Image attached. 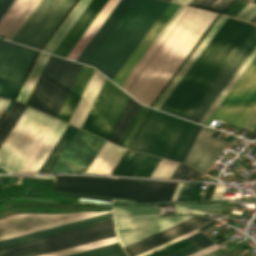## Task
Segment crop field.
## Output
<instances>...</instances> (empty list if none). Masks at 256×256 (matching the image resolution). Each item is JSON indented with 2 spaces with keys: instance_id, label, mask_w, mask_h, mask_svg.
<instances>
[{
  "instance_id": "1",
  "label": "crop field",
  "mask_w": 256,
  "mask_h": 256,
  "mask_svg": "<svg viewBox=\"0 0 256 256\" xmlns=\"http://www.w3.org/2000/svg\"><path fill=\"white\" fill-rule=\"evenodd\" d=\"M216 16L184 6L123 90L149 106Z\"/></svg>"
},
{
  "instance_id": "2",
  "label": "crop field",
  "mask_w": 256,
  "mask_h": 256,
  "mask_svg": "<svg viewBox=\"0 0 256 256\" xmlns=\"http://www.w3.org/2000/svg\"><path fill=\"white\" fill-rule=\"evenodd\" d=\"M253 29L227 18L160 110L187 119Z\"/></svg>"
},
{
  "instance_id": "3",
  "label": "crop field",
  "mask_w": 256,
  "mask_h": 256,
  "mask_svg": "<svg viewBox=\"0 0 256 256\" xmlns=\"http://www.w3.org/2000/svg\"><path fill=\"white\" fill-rule=\"evenodd\" d=\"M168 4L161 0H136L89 65L112 80Z\"/></svg>"
},
{
  "instance_id": "4",
  "label": "crop field",
  "mask_w": 256,
  "mask_h": 256,
  "mask_svg": "<svg viewBox=\"0 0 256 256\" xmlns=\"http://www.w3.org/2000/svg\"><path fill=\"white\" fill-rule=\"evenodd\" d=\"M177 183L134 180L56 176L54 189L72 193L132 198L140 202L170 200Z\"/></svg>"
},
{
  "instance_id": "5",
  "label": "crop field",
  "mask_w": 256,
  "mask_h": 256,
  "mask_svg": "<svg viewBox=\"0 0 256 256\" xmlns=\"http://www.w3.org/2000/svg\"><path fill=\"white\" fill-rule=\"evenodd\" d=\"M194 126L150 109L131 149L177 161Z\"/></svg>"
},
{
  "instance_id": "6",
  "label": "crop field",
  "mask_w": 256,
  "mask_h": 256,
  "mask_svg": "<svg viewBox=\"0 0 256 256\" xmlns=\"http://www.w3.org/2000/svg\"><path fill=\"white\" fill-rule=\"evenodd\" d=\"M81 67L50 55L26 105L56 117Z\"/></svg>"
},
{
  "instance_id": "7",
  "label": "crop field",
  "mask_w": 256,
  "mask_h": 256,
  "mask_svg": "<svg viewBox=\"0 0 256 256\" xmlns=\"http://www.w3.org/2000/svg\"><path fill=\"white\" fill-rule=\"evenodd\" d=\"M54 118L33 110H25L0 147V167L20 172Z\"/></svg>"
},
{
  "instance_id": "8",
  "label": "crop field",
  "mask_w": 256,
  "mask_h": 256,
  "mask_svg": "<svg viewBox=\"0 0 256 256\" xmlns=\"http://www.w3.org/2000/svg\"><path fill=\"white\" fill-rule=\"evenodd\" d=\"M114 236L111 219L0 248V256H39Z\"/></svg>"
},
{
  "instance_id": "9",
  "label": "crop field",
  "mask_w": 256,
  "mask_h": 256,
  "mask_svg": "<svg viewBox=\"0 0 256 256\" xmlns=\"http://www.w3.org/2000/svg\"><path fill=\"white\" fill-rule=\"evenodd\" d=\"M75 0H40L11 41L39 49Z\"/></svg>"
},
{
  "instance_id": "10",
  "label": "crop field",
  "mask_w": 256,
  "mask_h": 256,
  "mask_svg": "<svg viewBox=\"0 0 256 256\" xmlns=\"http://www.w3.org/2000/svg\"><path fill=\"white\" fill-rule=\"evenodd\" d=\"M129 97L106 79L82 129L108 140Z\"/></svg>"
},
{
  "instance_id": "11",
  "label": "crop field",
  "mask_w": 256,
  "mask_h": 256,
  "mask_svg": "<svg viewBox=\"0 0 256 256\" xmlns=\"http://www.w3.org/2000/svg\"><path fill=\"white\" fill-rule=\"evenodd\" d=\"M256 103V57L206 122L220 119L239 126Z\"/></svg>"
},
{
  "instance_id": "12",
  "label": "crop field",
  "mask_w": 256,
  "mask_h": 256,
  "mask_svg": "<svg viewBox=\"0 0 256 256\" xmlns=\"http://www.w3.org/2000/svg\"><path fill=\"white\" fill-rule=\"evenodd\" d=\"M36 52L0 40V97L14 98Z\"/></svg>"
},
{
  "instance_id": "13",
  "label": "crop field",
  "mask_w": 256,
  "mask_h": 256,
  "mask_svg": "<svg viewBox=\"0 0 256 256\" xmlns=\"http://www.w3.org/2000/svg\"><path fill=\"white\" fill-rule=\"evenodd\" d=\"M104 143L105 140L78 129L51 172L85 173Z\"/></svg>"
},
{
  "instance_id": "14",
  "label": "crop field",
  "mask_w": 256,
  "mask_h": 256,
  "mask_svg": "<svg viewBox=\"0 0 256 256\" xmlns=\"http://www.w3.org/2000/svg\"><path fill=\"white\" fill-rule=\"evenodd\" d=\"M192 217L179 216H147L116 218V235L122 247Z\"/></svg>"
},
{
  "instance_id": "15",
  "label": "crop field",
  "mask_w": 256,
  "mask_h": 256,
  "mask_svg": "<svg viewBox=\"0 0 256 256\" xmlns=\"http://www.w3.org/2000/svg\"><path fill=\"white\" fill-rule=\"evenodd\" d=\"M255 46L256 27L234 55L223 72L220 74V76L217 78V80L214 82V84L211 86L197 107L194 109V111L191 113V115L188 117V120L199 123V121L229 83L231 78L234 76V74L237 72V70L240 68V66L243 64Z\"/></svg>"
},
{
  "instance_id": "16",
  "label": "crop field",
  "mask_w": 256,
  "mask_h": 256,
  "mask_svg": "<svg viewBox=\"0 0 256 256\" xmlns=\"http://www.w3.org/2000/svg\"><path fill=\"white\" fill-rule=\"evenodd\" d=\"M213 129L202 127L185 163L206 172L228 143L209 137ZM237 138L230 142L233 144Z\"/></svg>"
},
{
  "instance_id": "17",
  "label": "crop field",
  "mask_w": 256,
  "mask_h": 256,
  "mask_svg": "<svg viewBox=\"0 0 256 256\" xmlns=\"http://www.w3.org/2000/svg\"><path fill=\"white\" fill-rule=\"evenodd\" d=\"M211 220L212 219L210 218L194 216L188 220H185L140 241L130 244L124 247V250L128 256H135L187 232H190Z\"/></svg>"
},
{
  "instance_id": "18",
  "label": "crop field",
  "mask_w": 256,
  "mask_h": 256,
  "mask_svg": "<svg viewBox=\"0 0 256 256\" xmlns=\"http://www.w3.org/2000/svg\"><path fill=\"white\" fill-rule=\"evenodd\" d=\"M92 213V212H88ZM88 213H67V214H17L0 220V236L26 230L29 228L61 221L64 219L88 214Z\"/></svg>"
},
{
  "instance_id": "19",
  "label": "crop field",
  "mask_w": 256,
  "mask_h": 256,
  "mask_svg": "<svg viewBox=\"0 0 256 256\" xmlns=\"http://www.w3.org/2000/svg\"><path fill=\"white\" fill-rule=\"evenodd\" d=\"M135 0H120L80 55L77 57L76 61L88 64L109 34L112 32L114 27L132 5Z\"/></svg>"
},
{
  "instance_id": "20",
  "label": "crop field",
  "mask_w": 256,
  "mask_h": 256,
  "mask_svg": "<svg viewBox=\"0 0 256 256\" xmlns=\"http://www.w3.org/2000/svg\"><path fill=\"white\" fill-rule=\"evenodd\" d=\"M107 1L108 0H92L53 51V54L66 57Z\"/></svg>"
},
{
  "instance_id": "21",
  "label": "crop field",
  "mask_w": 256,
  "mask_h": 256,
  "mask_svg": "<svg viewBox=\"0 0 256 256\" xmlns=\"http://www.w3.org/2000/svg\"><path fill=\"white\" fill-rule=\"evenodd\" d=\"M178 7V4L170 3L166 10L164 9L165 11L163 14L161 13L162 15L160 18L158 17L159 19L157 22L155 21L156 23L154 26L152 25L153 27L151 30L149 29L150 31L148 34L146 33L147 35L145 38L143 37L144 39L142 42L138 45V47L135 49V51L132 53V55L129 57V59L126 61V63L123 65V67L112 81L120 86V84L123 82V80L126 78V76L129 74V72L132 70V68L135 66V64L138 62V60L141 58V56L144 54L149 45L152 43V41L155 39V37L158 35V33L161 31V29L164 27V25L167 23V21Z\"/></svg>"
},
{
  "instance_id": "22",
  "label": "crop field",
  "mask_w": 256,
  "mask_h": 256,
  "mask_svg": "<svg viewBox=\"0 0 256 256\" xmlns=\"http://www.w3.org/2000/svg\"><path fill=\"white\" fill-rule=\"evenodd\" d=\"M39 0H15L0 20V37L10 40Z\"/></svg>"
},
{
  "instance_id": "23",
  "label": "crop field",
  "mask_w": 256,
  "mask_h": 256,
  "mask_svg": "<svg viewBox=\"0 0 256 256\" xmlns=\"http://www.w3.org/2000/svg\"><path fill=\"white\" fill-rule=\"evenodd\" d=\"M103 77L99 72L95 70L88 86L86 87L78 105L76 106L69 123L81 128L92 104L94 103L104 81Z\"/></svg>"
},
{
  "instance_id": "24",
  "label": "crop field",
  "mask_w": 256,
  "mask_h": 256,
  "mask_svg": "<svg viewBox=\"0 0 256 256\" xmlns=\"http://www.w3.org/2000/svg\"><path fill=\"white\" fill-rule=\"evenodd\" d=\"M95 69L83 65L76 81L74 82L66 100L64 101L57 118L68 122L75 106L77 105L85 87L87 86Z\"/></svg>"
},
{
  "instance_id": "25",
  "label": "crop field",
  "mask_w": 256,
  "mask_h": 256,
  "mask_svg": "<svg viewBox=\"0 0 256 256\" xmlns=\"http://www.w3.org/2000/svg\"><path fill=\"white\" fill-rule=\"evenodd\" d=\"M125 151L106 141L86 173L111 174Z\"/></svg>"
},
{
  "instance_id": "26",
  "label": "crop field",
  "mask_w": 256,
  "mask_h": 256,
  "mask_svg": "<svg viewBox=\"0 0 256 256\" xmlns=\"http://www.w3.org/2000/svg\"><path fill=\"white\" fill-rule=\"evenodd\" d=\"M225 19L226 17L220 15V17L217 19V21L214 23V25L211 27V29L208 31V33L205 35L202 41L199 43L197 48L194 50V52L191 54V56L188 58V60L185 62V64L182 66L179 72L176 74L174 79L171 81V83L168 85V87L165 89V91L153 105V108L159 109V107L162 105V103L165 101V99L168 97V95L171 93V91L174 89V87L177 85V83L180 81V79L183 77V75L186 73V71L189 69L192 63L195 61V59L207 45V43L210 41V39L213 37V35L225 21Z\"/></svg>"
},
{
  "instance_id": "27",
  "label": "crop field",
  "mask_w": 256,
  "mask_h": 256,
  "mask_svg": "<svg viewBox=\"0 0 256 256\" xmlns=\"http://www.w3.org/2000/svg\"><path fill=\"white\" fill-rule=\"evenodd\" d=\"M111 218H112V212L107 213V214H103V215H99V216H95V217H91V218H88V219L68 223V224H65V225L45 229V230H42V231L26 234V235H23V236L3 240V241H0V247L7 246V245H10V244H14V243H18V242H22V241H26V240H30V239L45 236V235H49V234H53V233H57V232H60V231H64V230L84 226V225H87V224H91V223L111 219Z\"/></svg>"
},
{
  "instance_id": "28",
  "label": "crop field",
  "mask_w": 256,
  "mask_h": 256,
  "mask_svg": "<svg viewBox=\"0 0 256 256\" xmlns=\"http://www.w3.org/2000/svg\"><path fill=\"white\" fill-rule=\"evenodd\" d=\"M118 1L119 0H109L107 2V4L104 6V8L98 14V16L92 22V24L89 26V28L86 30V32L83 34V36L80 38V40L77 42V44L71 50V52L68 54L67 58H70L73 60L76 59V57L79 55V53L85 47V45L88 43V41L94 35V33L97 31V29L103 23V21L106 19V17L109 15V13L112 11V9L115 7V5L118 3Z\"/></svg>"
},
{
  "instance_id": "29",
  "label": "crop field",
  "mask_w": 256,
  "mask_h": 256,
  "mask_svg": "<svg viewBox=\"0 0 256 256\" xmlns=\"http://www.w3.org/2000/svg\"><path fill=\"white\" fill-rule=\"evenodd\" d=\"M90 1L91 0L78 1V3L67 16V18L64 20V22L61 24V26L58 28V30L55 32V34L52 36L46 46L43 48V51L52 53V51L55 49V47L58 45V43L61 41V39L64 37V35L67 33V31L70 29V27L73 25V23L76 21V19L79 17V15L82 13V11L85 9Z\"/></svg>"
},
{
  "instance_id": "30",
  "label": "crop field",
  "mask_w": 256,
  "mask_h": 256,
  "mask_svg": "<svg viewBox=\"0 0 256 256\" xmlns=\"http://www.w3.org/2000/svg\"><path fill=\"white\" fill-rule=\"evenodd\" d=\"M139 103H137L134 99L130 97L120 119L118 120L110 138L109 141L119 145L124 133L126 132L132 118L134 117L138 107Z\"/></svg>"
},
{
  "instance_id": "31",
  "label": "crop field",
  "mask_w": 256,
  "mask_h": 256,
  "mask_svg": "<svg viewBox=\"0 0 256 256\" xmlns=\"http://www.w3.org/2000/svg\"><path fill=\"white\" fill-rule=\"evenodd\" d=\"M48 57H49V54L40 52L31 72H30L29 76L27 77L16 100L25 104V102H26L36 80L38 79Z\"/></svg>"
},
{
  "instance_id": "32",
  "label": "crop field",
  "mask_w": 256,
  "mask_h": 256,
  "mask_svg": "<svg viewBox=\"0 0 256 256\" xmlns=\"http://www.w3.org/2000/svg\"><path fill=\"white\" fill-rule=\"evenodd\" d=\"M66 127L67 124L59 121L52 134L50 135V137L36 156L35 160L27 170V172H37V170L39 169V167L41 166V164L43 163V161L45 160V158L47 157V155L49 154V152L51 151Z\"/></svg>"
},
{
  "instance_id": "33",
  "label": "crop field",
  "mask_w": 256,
  "mask_h": 256,
  "mask_svg": "<svg viewBox=\"0 0 256 256\" xmlns=\"http://www.w3.org/2000/svg\"><path fill=\"white\" fill-rule=\"evenodd\" d=\"M26 106L14 101L8 112L6 113L5 117L0 123V146L10 133L24 110Z\"/></svg>"
},
{
  "instance_id": "34",
  "label": "crop field",
  "mask_w": 256,
  "mask_h": 256,
  "mask_svg": "<svg viewBox=\"0 0 256 256\" xmlns=\"http://www.w3.org/2000/svg\"><path fill=\"white\" fill-rule=\"evenodd\" d=\"M147 155L129 151L123 162L120 164L114 175L135 176Z\"/></svg>"
},
{
  "instance_id": "35",
  "label": "crop field",
  "mask_w": 256,
  "mask_h": 256,
  "mask_svg": "<svg viewBox=\"0 0 256 256\" xmlns=\"http://www.w3.org/2000/svg\"><path fill=\"white\" fill-rule=\"evenodd\" d=\"M175 211L177 213H198V214H212L219 215L221 214L220 204H210V205H191V204H176L174 205Z\"/></svg>"
},
{
  "instance_id": "36",
  "label": "crop field",
  "mask_w": 256,
  "mask_h": 256,
  "mask_svg": "<svg viewBox=\"0 0 256 256\" xmlns=\"http://www.w3.org/2000/svg\"><path fill=\"white\" fill-rule=\"evenodd\" d=\"M159 214L157 206H132L114 208V217Z\"/></svg>"
},
{
  "instance_id": "37",
  "label": "crop field",
  "mask_w": 256,
  "mask_h": 256,
  "mask_svg": "<svg viewBox=\"0 0 256 256\" xmlns=\"http://www.w3.org/2000/svg\"><path fill=\"white\" fill-rule=\"evenodd\" d=\"M256 55V48L253 50V52L250 54V56L247 58V60L244 62V64L241 66V68L238 70V72L235 74L233 79L230 81V83L227 85V87L224 89V91L221 93V95L218 97V99L215 101V103L212 105V107L209 109V111L206 113V115L203 117V119L200 121V124L202 122H206V120L209 118V116L212 114V112L215 110V108L218 106V104L221 102V100L224 98V96L227 94V92L230 90V88L233 86V84L236 82V80L240 77V75L243 73V71L246 69V67L249 65V63L252 61V59Z\"/></svg>"
},
{
  "instance_id": "38",
  "label": "crop field",
  "mask_w": 256,
  "mask_h": 256,
  "mask_svg": "<svg viewBox=\"0 0 256 256\" xmlns=\"http://www.w3.org/2000/svg\"><path fill=\"white\" fill-rule=\"evenodd\" d=\"M234 0H192L188 5L221 13Z\"/></svg>"
},
{
  "instance_id": "39",
  "label": "crop field",
  "mask_w": 256,
  "mask_h": 256,
  "mask_svg": "<svg viewBox=\"0 0 256 256\" xmlns=\"http://www.w3.org/2000/svg\"><path fill=\"white\" fill-rule=\"evenodd\" d=\"M117 242L118 241H117L116 237H114V238L78 246L75 248H71V249H67V250H63V251H59V252H55V253H51V254H47V255H43V256H67V255H71L74 253L94 249L97 247H101V246H105V245H109V244H113V243H117Z\"/></svg>"
},
{
  "instance_id": "40",
  "label": "crop field",
  "mask_w": 256,
  "mask_h": 256,
  "mask_svg": "<svg viewBox=\"0 0 256 256\" xmlns=\"http://www.w3.org/2000/svg\"><path fill=\"white\" fill-rule=\"evenodd\" d=\"M71 256H126L123 249L117 244L97 248L94 250L74 254Z\"/></svg>"
},
{
  "instance_id": "41",
  "label": "crop field",
  "mask_w": 256,
  "mask_h": 256,
  "mask_svg": "<svg viewBox=\"0 0 256 256\" xmlns=\"http://www.w3.org/2000/svg\"><path fill=\"white\" fill-rule=\"evenodd\" d=\"M148 108L140 105L135 117L133 118L127 132L125 133L121 143H120V146L124 147V148H128L137 128L139 127L146 111H147Z\"/></svg>"
},
{
  "instance_id": "42",
  "label": "crop field",
  "mask_w": 256,
  "mask_h": 256,
  "mask_svg": "<svg viewBox=\"0 0 256 256\" xmlns=\"http://www.w3.org/2000/svg\"><path fill=\"white\" fill-rule=\"evenodd\" d=\"M183 8L182 5L177 9V11L174 13V15L171 17V19L168 21V23L165 25V27L162 29V31L159 33V35L156 37V39L153 41L151 46L148 48V50L145 52V54L142 56V58L139 60V62L136 64V66L133 68V70L130 72V74L127 76V78L124 80V82L121 84V88L126 85V83L129 81V79L132 77V75L135 73L137 68L140 66V64L143 62V60L146 58V56L149 54V52L152 50L154 45L157 43V41L160 39V37L163 35V33L166 31L168 26L171 24V22L174 20V18L177 16V14L180 12V10Z\"/></svg>"
},
{
  "instance_id": "43",
  "label": "crop field",
  "mask_w": 256,
  "mask_h": 256,
  "mask_svg": "<svg viewBox=\"0 0 256 256\" xmlns=\"http://www.w3.org/2000/svg\"><path fill=\"white\" fill-rule=\"evenodd\" d=\"M107 212H111V211L96 212V213H92V214H88V215H84V216H80V217L64 220V221H61V222H57V223H53V224H49V225H45V226L29 229V230H26V231H22V232L10 234V235L2 236V237H0V240L11 238V237H15V236H19V235H23V234H26V233L42 230V229H45V228H49V227H53V226H57V225H61V224H65V223H68V222H72V221L88 218V217H91V216H95V215H99V214H103V213H107Z\"/></svg>"
},
{
  "instance_id": "44",
  "label": "crop field",
  "mask_w": 256,
  "mask_h": 256,
  "mask_svg": "<svg viewBox=\"0 0 256 256\" xmlns=\"http://www.w3.org/2000/svg\"><path fill=\"white\" fill-rule=\"evenodd\" d=\"M177 162L162 159L158 167L155 169L151 177H165L170 178L171 174L175 170Z\"/></svg>"
},
{
  "instance_id": "45",
  "label": "crop field",
  "mask_w": 256,
  "mask_h": 256,
  "mask_svg": "<svg viewBox=\"0 0 256 256\" xmlns=\"http://www.w3.org/2000/svg\"><path fill=\"white\" fill-rule=\"evenodd\" d=\"M76 131H77V128L72 126V128L70 129V131L68 132V134L66 135V137L64 138L60 146L58 147L57 151L55 152V154L53 155V157L51 158V160L49 161V163L47 164L43 172H50V170L52 169V167L54 166V164L56 163V161L58 160V158L60 157L63 150L65 149V147L67 146V144L69 143V141L71 140V138L73 137Z\"/></svg>"
},
{
  "instance_id": "46",
  "label": "crop field",
  "mask_w": 256,
  "mask_h": 256,
  "mask_svg": "<svg viewBox=\"0 0 256 256\" xmlns=\"http://www.w3.org/2000/svg\"><path fill=\"white\" fill-rule=\"evenodd\" d=\"M161 161L160 158H155L148 156L136 176H141V177H150L154 169L157 167L159 162Z\"/></svg>"
},
{
  "instance_id": "47",
  "label": "crop field",
  "mask_w": 256,
  "mask_h": 256,
  "mask_svg": "<svg viewBox=\"0 0 256 256\" xmlns=\"http://www.w3.org/2000/svg\"><path fill=\"white\" fill-rule=\"evenodd\" d=\"M214 244L211 240H209L208 238L193 245V246H189V247H186L178 252H175L169 256H187L189 254H192L198 250H201L205 247H208L210 245Z\"/></svg>"
},
{
  "instance_id": "48",
  "label": "crop field",
  "mask_w": 256,
  "mask_h": 256,
  "mask_svg": "<svg viewBox=\"0 0 256 256\" xmlns=\"http://www.w3.org/2000/svg\"><path fill=\"white\" fill-rule=\"evenodd\" d=\"M197 174H198V171H196L184 164L179 163L178 167L174 171L171 178H176L177 175H181L180 179L190 180L191 177L195 178Z\"/></svg>"
},
{
  "instance_id": "49",
  "label": "crop field",
  "mask_w": 256,
  "mask_h": 256,
  "mask_svg": "<svg viewBox=\"0 0 256 256\" xmlns=\"http://www.w3.org/2000/svg\"><path fill=\"white\" fill-rule=\"evenodd\" d=\"M57 123H58V120L55 119V121L53 122V124L51 125V127L49 128V130L47 131V133L45 134V136L43 137V139L41 140V142L39 143V145L33 152V154L31 155V157L29 158V160L27 161V163L21 170V172H26V170L32 163L33 159L35 158V156L37 155V153L39 152V150L41 149V147L43 146V144L45 143V141L47 140V138L49 137L50 133L52 132V130L54 129V127L56 126Z\"/></svg>"
},
{
  "instance_id": "50",
  "label": "crop field",
  "mask_w": 256,
  "mask_h": 256,
  "mask_svg": "<svg viewBox=\"0 0 256 256\" xmlns=\"http://www.w3.org/2000/svg\"><path fill=\"white\" fill-rule=\"evenodd\" d=\"M240 127L254 131L256 128V105L241 123Z\"/></svg>"
},
{
  "instance_id": "51",
  "label": "crop field",
  "mask_w": 256,
  "mask_h": 256,
  "mask_svg": "<svg viewBox=\"0 0 256 256\" xmlns=\"http://www.w3.org/2000/svg\"><path fill=\"white\" fill-rule=\"evenodd\" d=\"M248 3L247 0H237L223 14L235 17Z\"/></svg>"
},
{
  "instance_id": "52",
  "label": "crop field",
  "mask_w": 256,
  "mask_h": 256,
  "mask_svg": "<svg viewBox=\"0 0 256 256\" xmlns=\"http://www.w3.org/2000/svg\"><path fill=\"white\" fill-rule=\"evenodd\" d=\"M200 128H201V126L196 125V127H195V129H194V131H193V133H192V135H191V137H190V139H189V141H188V143H187V145H186V147H185V149H184V151H183V153H182V155L179 159L180 162H184V160H185V158H186V156H187V154H188V152H189V150H190V148H191V146H192Z\"/></svg>"
},
{
  "instance_id": "53",
  "label": "crop field",
  "mask_w": 256,
  "mask_h": 256,
  "mask_svg": "<svg viewBox=\"0 0 256 256\" xmlns=\"http://www.w3.org/2000/svg\"><path fill=\"white\" fill-rule=\"evenodd\" d=\"M195 183H184L177 200H188Z\"/></svg>"
},
{
  "instance_id": "54",
  "label": "crop field",
  "mask_w": 256,
  "mask_h": 256,
  "mask_svg": "<svg viewBox=\"0 0 256 256\" xmlns=\"http://www.w3.org/2000/svg\"><path fill=\"white\" fill-rule=\"evenodd\" d=\"M197 232H199V231L195 230V231H193V232H191V233H188V234H186V235H184V236H181V237H179V238H177V239H175V240H172V241H170V242H168V243H165V244H163V245H161V246H158V247H156V248H154V249H151V250H149V251H147V252H145V253H142V254H140V255H138V256H144V255H146V254H149V253H151V252H153V251H156V250H158V249H160V248H163V247H165V246H167V245H169V244H172V243H174V242H176V241H179V240H181V239H183V238H186V237H188V236H190V235H192V234H195V233H197Z\"/></svg>"
},
{
  "instance_id": "55",
  "label": "crop field",
  "mask_w": 256,
  "mask_h": 256,
  "mask_svg": "<svg viewBox=\"0 0 256 256\" xmlns=\"http://www.w3.org/2000/svg\"><path fill=\"white\" fill-rule=\"evenodd\" d=\"M70 128H71V126L68 125V127L66 128V130L64 131V133L62 134V136L60 137V139L58 140V142L56 143V145L54 146V148L52 149V151L50 152V154L48 155V157L46 158V160L44 161V163L42 164V166L38 170V172H42L43 168L47 164V162L50 159V157L52 156L53 152L55 151L57 146L60 144V142L62 141V139L64 138V136L66 135V133L69 131Z\"/></svg>"
},
{
  "instance_id": "56",
  "label": "crop field",
  "mask_w": 256,
  "mask_h": 256,
  "mask_svg": "<svg viewBox=\"0 0 256 256\" xmlns=\"http://www.w3.org/2000/svg\"><path fill=\"white\" fill-rule=\"evenodd\" d=\"M14 0H0V19L11 6Z\"/></svg>"
},
{
  "instance_id": "57",
  "label": "crop field",
  "mask_w": 256,
  "mask_h": 256,
  "mask_svg": "<svg viewBox=\"0 0 256 256\" xmlns=\"http://www.w3.org/2000/svg\"><path fill=\"white\" fill-rule=\"evenodd\" d=\"M204 238H206V236L203 235L201 232H199V233H197V234H195V235H192V236L186 238V240H187L190 244H193V243L198 242V241H200V240H202V239H204Z\"/></svg>"
},
{
  "instance_id": "58",
  "label": "crop field",
  "mask_w": 256,
  "mask_h": 256,
  "mask_svg": "<svg viewBox=\"0 0 256 256\" xmlns=\"http://www.w3.org/2000/svg\"><path fill=\"white\" fill-rule=\"evenodd\" d=\"M10 101H11V100L0 98V116L2 115V113L4 112V110L6 109V107H7L8 104L10 103Z\"/></svg>"
},
{
  "instance_id": "59",
  "label": "crop field",
  "mask_w": 256,
  "mask_h": 256,
  "mask_svg": "<svg viewBox=\"0 0 256 256\" xmlns=\"http://www.w3.org/2000/svg\"><path fill=\"white\" fill-rule=\"evenodd\" d=\"M80 203H86V204H110L108 202L88 200V199H83V198H80Z\"/></svg>"
},
{
  "instance_id": "60",
  "label": "crop field",
  "mask_w": 256,
  "mask_h": 256,
  "mask_svg": "<svg viewBox=\"0 0 256 256\" xmlns=\"http://www.w3.org/2000/svg\"><path fill=\"white\" fill-rule=\"evenodd\" d=\"M205 256H229V255L227 253H225L223 250L219 249V250L212 252Z\"/></svg>"
},
{
  "instance_id": "61",
  "label": "crop field",
  "mask_w": 256,
  "mask_h": 256,
  "mask_svg": "<svg viewBox=\"0 0 256 256\" xmlns=\"http://www.w3.org/2000/svg\"><path fill=\"white\" fill-rule=\"evenodd\" d=\"M182 184H183V183H178V184H177L176 189H175V192H174L173 197H172L171 200H176V199H177Z\"/></svg>"
},
{
  "instance_id": "62",
  "label": "crop field",
  "mask_w": 256,
  "mask_h": 256,
  "mask_svg": "<svg viewBox=\"0 0 256 256\" xmlns=\"http://www.w3.org/2000/svg\"><path fill=\"white\" fill-rule=\"evenodd\" d=\"M255 14H256V7L250 13H248L243 19L249 21Z\"/></svg>"
},
{
  "instance_id": "63",
  "label": "crop field",
  "mask_w": 256,
  "mask_h": 256,
  "mask_svg": "<svg viewBox=\"0 0 256 256\" xmlns=\"http://www.w3.org/2000/svg\"><path fill=\"white\" fill-rule=\"evenodd\" d=\"M66 196H78V195H66ZM83 198H90V199H96V200H102V201H108L111 202V199H104V198H95V197H87V196H79Z\"/></svg>"
},
{
  "instance_id": "64",
  "label": "crop field",
  "mask_w": 256,
  "mask_h": 256,
  "mask_svg": "<svg viewBox=\"0 0 256 256\" xmlns=\"http://www.w3.org/2000/svg\"><path fill=\"white\" fill-rule=\"evenodd\" d=\"M253 5V3H249L236 17L239 18L246 10H248L251 6Z\"/></svg>"
},
{
  "instance_id": "65",
  "label": "crop field",
  "mask_w": 256,
  "mask_h": 256,
  "mask_svg": "<svg viewBox=\"0 0 256 256\" xmlns=\"http://www.w3.org/2000/svg\"><path fill=\"white\" fill-rule=\"evenodd\" d=\"M171 1L187 5L191 0H171Z\"/></svg>"
},
{
  "instance_id": "66",
  "label": "crop field",
  "mask_w": 256,
  "mask_h": 256,
  "mask_svg": "<svg viewBox=\"0 0 256 256\" xmlns=\"http://www.w3.org/2000/svg\"><path fill=\"white\" fill-rule=\"evenodd\" d=\"M214 221H215V220H214ZM213 224H215V223L212 221V222L208 223L207 225L201 227L200 230L202 231V230L208 228L209 226H211V225H213Z\"/></svg>"
},
{
  "instance_id": "67",
  "label": "crop field",
  "mask_w": 256,
  "mask_h": 256,
  "mask_svg": "<svg viewBox=\"0 0 256 256\" xmlns=\"http://www.w3.org/2000/svg\"><path fill=\"white\" fill-rule=\"evenodd\" d=\"M256 6V4H254L247 12H245L240 19H242L249 11H251L254 7Z\"/></svg>"
},
{
  "instance_id": "68",
  "label": "crop field",
  "mask_w": 256,
  "mask_h": 256,
  "mask_svg": "<svg viewBox=\"0 0 256 256\" xmlns=\"http://www.w3.org/2000/svg\"><path fill=\"white\" fill-rule=\"evenodd\" d=\"M113 201H117V202H127V203H133L132 201H124V200H117V199H114Z\"/></svg>"
},
{
  "instance_id": "69",
  "label": "crop field",
  "mask_w": 256,
  "mask_h": 256,
  "mask_svg": "<svg viewBox=\"0 0 256 256\" xmlns=\"http://www.w3.org/2000/svg\"><path fill=\"white\" fill-rule=\"evenodd\" d=\"M232 138H233V136L229 135V136L225 139V141L230 142Z\"/></svg>"
},
{
  "instance_id": "70",
  "label": "crop field",
  "mask_w": 256,
  "mask_h": 256,
  "mask_svg": "<svg viewBox=\"0 0 256 256\" xmlns=\"http://www.w3.org/2000/svg\"><path fill=\"white\" fill-rule=\"evenodd\" d=\"M248 139H250V140H254V139H256V134L252 135V136H251V137H249Z\"/></svg>"
},
{
  "instance_id": "71",
  "label": "crop field",
  "mask_w": 256,
  "mask_h": 256,
  "mask_svg": "<svg viewBox=\"0 0 256 256\" xmlns=\"http://www.w3.org/2000/svg\"><path fill=\"white\" fill-rule=\"evenodd\" d=\"M218 134H219V131L216 130L212 136L216 138V136H217Z\"/></svg>"
},
{
  "instance_id": "72",
  "label": "crop field",
  "mask_w": 256,
  "mask_h": 256,
  "mask_svg": "<svg viewBox=\"0 0 256 256\" xmlns=\"http://www.w3.org/2000/svg\"><path fill=\"white\" fill-rule=\"evenodd\" d=\"M256 2V0H254Z\"/></svg>"
},
{
  "instance_id": "73",
  "label": "crop field",
  "mask_w": 256,
  "mask_h": 256,
  "mask_svg": "<svg viewBox=\"0 0 256 256\" xmlns=\"http://www.w3.org/2000/svg\"><path fill=\"white\" fill-rule=\"evenodd\" d=\"M256 131V130H255Z\"/></svg>"
}]
</instances>
